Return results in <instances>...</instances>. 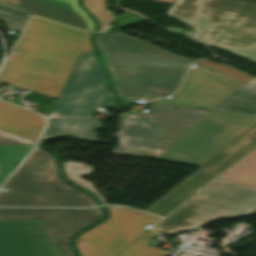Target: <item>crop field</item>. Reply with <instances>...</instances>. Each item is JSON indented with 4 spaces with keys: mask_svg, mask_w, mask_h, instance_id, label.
I'll use <instances>...</instances> for the list:
<instances>
[{
    "mask_svg": "<svg viewBox=\"0 0 256 256\" xmlns=\"http://www.w3.org/2000/svg\"><path fill=\"white\" fill-rule=\"evenodd\" d=\"M103 217L101 208L95 209H32L0 208L3 220H41L52 243L62 256H75L70 241L80 229Z\"/></svg>",
    "mask_w": 256,
    "mask_h": 256,
    "instance_id": "11",
    "label": "crop field"
},
{
    "mask_svg": "<svg viewBox=\"0 0 256 256\" xmlns=\"http://www.w3.org/2000/svg\"><path fill=\"white\" fill-rule=\"evenodd\" d=\"M82 32L33 17L0 71V81L58 98L80 51L94 52Z\"/></svg>",
    "mask_w": 256,
    "mask_h": 256,
    "instance_id": "1",
    "label": "crop field"
},
{
    "mask_svg": "<svg viewBox=\"0 0 256 256\" xmlns=\"http://www.w3.org/2000/svg\"><path fill=\"white\" fill-rule=\"evenodd\" d=\"M146 19L140 17L138 14L130 12L124 15L114 17L113 21L117 23L118 28L131 25L137 22L145 21ZM112 21V20H111Z\"/></svg>",
    "mask_w": 256,
    "mask_h": 256,
    "instance_id": "26",
    "label": "crop field"
},
{
    "mask_svg": "<svg viewBox=\"0 0 256 256\" xmlns=\"http://www.w3.org/2000/svg\"><path fill=\"white\" fill-rule=\"evenodd\" d=\"M0 256H60L41 221H0Z\"/></svg>",
    "mask_w": 256,
    "mask_h": 256,
    "instance_id": "13",
    "label": "crop field"
},
{
    "mask_svg": "<svg viewBox=\"0 0 256 256\" xmlns=\"http://www.w3.org/2000/svg\"><path fill=\"white\" fill-rule=\"evenodd\" d=\"M109 218L77 239L81 256H114L161 218L122 206H107Z\"/></svg>",
    "mask_w": 256,
    "mask_h": 256,
    "instance_id": "9",
    "label": "crop field"
},
{
    "mask_svg": "<svg viewBox=\"0 0 256 256\" xmlns=\"http://www.w3.org/2000/svg\"><path fill=\"white\" fill-rule=\"evenodd\" d=\"M173 4L176 0H158ZM83 4L90 10L100 23V31L103 30L106 22L110 20L114 12L106 10L104 0H82Z\"/></svg>",
    "mask_w": 256,
    "mask_h": 256,
    "instance_id": "23",
    "label": "crop field"
},
{
    "mask_svg": "<svg viewBox=\"0 0 256 256\" xmlns=\"http://www.w3.org/2000/svg\"><path fill=\"white\" fill-rule=\"evenodd\" d=\"M203 65H206L212 69H215L223 74H226L232 78H235L241 82H245V83H248L253 77L245 74V73H242L236 69H233L225 64L223 65H220V64H217V63H214V62H210V61H207V60H200V61H197Z\"/></svg>",
    "mask_w": 256,
    "mask_h": 256,
    "instance_id": "25",
    "label": "crop field"
},
{
    "mask_svg": "<svg viewBox=\"0 0 256 256\" xmlns=\"http://www.w3.org/2000/svg\"><path fill=\"white\" fill-rule=\"evenodd\" d=\"M167 15L198 29L192 39L256 62V0H177Z\"/></svg>",
    "mask_w": 256,
    "mask_h": 256,
    "instance_id": "3",
    "label": "crop field"
},
{
    "mask_svg": "<svg viewBox=\"0 0 256 256\" xmlns=\"http://www.w3.org/2000/svg\"><path fill=\"white\" fill-rule=\"evenodd\" d=\"M6 144H33V143L0 130V145H6Z\"/></svg>",
    "mask_w": 256,
    "mask_h": 256,
    "instance_id": "27",
    "label": "crop field"
},
{
    "mask_svg": "<svg viewBox=\"0 0 256 256\" xmlns=\"http://www.w3.org/2000/svg\"><path fill=\"white\" fill-rule=\"evenodd\" d=\"M2 188L7 190L0 191V206H97L93 198L60 180L54 157L38 146Z\"/></svg>",
    "mask_w": 256,
    "mask_h": 256,
    "instance_id": "4",
    "label": "crop field"
},
{
    "mask_svg": "<svg viewBox=\"0 0 256 256\" xmlns=\"http://www.w3.org/2000/svg\"><path fill=\"white\" fill-rule=\"evenodd\" d=\"M213 109L256 116V76L248 84L242 83Z\"/></svg>",
    "mask_w": 256,
    "mask_h": 256,
    "instance_id": "16",
    "label": "crop field"
},
{
    "mask_svg": "<svg viewBox=\"0 0 256 256\" xmlns=\"http://www.w3.org/2000/svg\"><path fill=\"white\" fill-rule=\"evenodd\" d=\"M95 42L119 98L167 95L177 89L193 62L119 32L97 35Z\"/></svg>",
    "mask_w": 256,
    "mask_h": 256,
    "instance_id": "2",
    "label": "crop field"
},
{
    "mask_svg": "<svg viewBox=\"0 0 256 256\" xmlns=\"http://www.w3.org/2000/svg\"><path fill=\"white\" fill-rule=\"evenodd\" d=\"M77 0H0V4L51 19L82 30H93L91 19L76 4Z\"/></svg>",
    "mask_w": 256,
    "mask_h": 256,
    "instance_id": "14",
    "label": "crop field"
},
{
    "mask_svg": "<svg viewBox=\"0 0 256 256\" xmlns=\"http://www.w3.org/2000/svg\"><path fill=\"white\" fill-rule=\"evenodd\" d=\"M33 145L0 146V185L23 160Z\"/></svg>",
    "mask_w": 256,
    "mask_h": 256,
    "instance_id": "17",
    "label": "crop field"
},
{
    "mask_svg": "<svg viewBox=\"0 0 256 256\" xmlns=\"http://www.w3.org/2000/svg\"><path fill=\"white\" fill-rule=\"evenodd\" d=\"M153 232H146L116 256H167L170 251L146 245L148 241L157 236Z\"/></svg>",
    "mask_w": 256,
    "mask_h": 256,
    "instance_id": "20",
    "label": "crop field"
},
{
    "mask_svg": "<svg viewBox=\"0 0 256 256\" xmlns=\"http://www.w3.org/2000/svg\"><path fill=\"white\" fill-rule=\"evenodd\" d=\"M29 17L30 14L0 5V20L9 25L11 30L21 32Z\"/></svg>",
    "mask_w": 256,
    "mask_h": 256,
    "instance_id": "22",
    "label": "crop field"
},
{
    "mask_svg": "<svg viewBox=\"0 0 256 256\" xmlns=\"http://www.w3.org/2000/svg\"><path fill=\"white\" fill-rule=\"evenodd\" d=\"M198 64L203 66L197 62ZM212 72L189 69L179 91L171 98L153 103L212 110L241 82L203 66Z\"/></svg>",
    "mask_w": 256,
    "mask_h": 256,
    "instance_id": "12",
    "label": "crop field"
},
{
    "mask_svg": "<svg viewBox=\"0 0 256 256\" xmlns=\"http://www.w3.org/2000/svg\"><path fill=\"white\" fill-rule=\"evenodd\" d=\"M0 110L7 112L9 114H12L14 116H17L19 118H22L24 120L30 121L32 123H35L37 125H40L42 127L44 126V123H45L44 119L41 116L1 101H0Z\"/></svg>",
    "mask_w": 256,
    "mask_h": 256,
    "instance_id": "24",
    "label": "crop field"
},
{
    "mask_svg": "<svg viewBox=\"0 0 256 256\" xmlns=\"http://www.w3.org/2000/svg\"><path fill=\"white\" fill-rule=\"evenodd\" d=\"M148 109V113L121 117L114 134L120 145L112 153L156 158L209 112L161 105Z\"/></svg>",
    "mask_w": 256,
    "mask_h": 256,
    "instance_id": "5",
    "label": "crop field"
},
{
    "mask_svg": "<svg viewBox=\"0 0 256 256\" xmlns=\"http://www.w3.org/2000/svg\"><path fill=\"white\" fill-rule=\"evenodd\" d=\"M255 123V117L212 110L156 160L198 167Z\"/></svg>",
    "mask_w": 256,
    "mask_h": 256,
    "instance_id": "7",
    "label": "crop field"
},
{
    "mask_svg": "<svg viewBox=\"0 0 256 256\" xmlns=\"http://www.w3.org/2000/svg\"><path fill=\"white\" fill-rule=\"evenodd\" d=\"M0 129L34 142L43 128L0 111Z\"/></svg>",
    "mask_w": 256,
    "mask_h": 256,
    "instance_id": "18",
    "label": "crop field"
},
{
    "mask_svg": "<svg viewBox=\"0 0 256 256\" xmlns=\"http://www.w3.org/2000/svg\"><path fill=\"white\" fill-rule=\"evenodd\" d=\"M149 244H152V245L157 246V244H156L155 240L151 241Z\"/></svg>",
    "mask_w": 256,
    "mask_h": 256,
    "instance_id": "28",
    "label": "crop field"
},
{
    "mask_svg": "<svg viewBox=\"0 0 256 256\" xmlns=\"http://www.w3.org/2000/svg\"><path fill=\"white\" fill-rule=\"evenodd\" d=\"M94 53L80 52L53 112L60 117L95 115L94 107L116 106Z\"/></svg>",
    "mask_w": 256,
    "mask_h": 256,
    "instance_id": "8",
    "label": "crop field"
},
{
    "mask_svg": "<svg viewBox=\"0 0 256 256\" xmlns=\"http://www.w3.org/2000/svg\"><path fill=\"white\" fill-rule=\"evenodd\" d=\"M96 118H56L48 119V127L41 139L70 135L81 139L97 140L94 130L100 127ZM98 141V140H97Z\"/></svg>",
    "mask_w": 256,
    "mask_h": 256,
    "instance_id": "15",
    "label": "crop field"
},
{
    "mask_svg": "<svg viewBox=\"0 0 256 256\" xmlns=\"http://www.w3.org/2000/svg\"><path fill=\"white\" fill-rule=\"evenodd\" d=\"M65 176L73 183L87 189L88 191L95 194L102 202L105 204L103 199L100 197L99 193L93 187V185L89 182L83 181L79 179V174H92L93 168L82 164V163H72V162H64L63 163Z\"/></svg>",
    "mask_w": 256,
    "mask_h": 256,
    "instance_id": "21",
    "label": "crop field"
},
{
    "mask_svg": "<svg viewBox=\"0 0 256 256\" xmlns=\"http://www.w3.org/2000/svg\"><path fill=\"white\" fill-rule=\"evenodd\" d=\"M251 213H256V188L219 178L152 230H193L211 220Z\"/></svg>",
    "mask_w": 256,
    "mask_h": 256,
    "instance_id": "6",
    "label": "crop field"
},
{
    "mask_svg": "<svg viewBox=\"0 0 256 256\" xmlns=\"http://www.w3.org/2000/svg\"><path fill=\"white\" fill-rule=\"evenodd\" d=\"M256 147V126L144 211L165 217Z\"/></svg>",
    "mask_w": 256,
    "mask_h": 256,
    "instance_id": "10",
    "label": "crop field"
},
{
    "mask_svg": "<svg viewBox=\"0 0 256 256\" xmlns=\"http://www.w3.org/2000/svg\"><path fill=\"white\" fill-rule=\"evenodd\" d=\"M221 178L256 187V151L231 168Z\"/></svg>",
    "mask_w": 256,
    "mask_h": 256,
    "instance_id": "19",
    "label": "crop field"
}]
</instances>
